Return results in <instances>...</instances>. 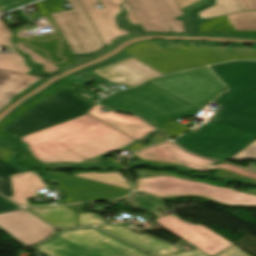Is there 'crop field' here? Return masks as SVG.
<instances>
[{
    "mask_svg": "<svg viewBox=\"0 0 256 256\" xmlns=\"http://www.w3.org/2000/svg\"><path fill=\"white\" fill-rule=\"evenodd\" d=\"M230 91L203 128L189 131L177 143L215 159L228 160L256 139V62L234 61L211 67Z\"/></svg>",
    "mask_w": 256,
    "mask_h": 256,
    "instance_id": "8a807250",
    "label": "crop field"
},
{
    "mask_svg": "<svg viewBox=\"0 0 256 256\" xmlns=\"http://www.w3.org/2000/svg\"><path fill=\"white\" fill-rule=\"evenodd\" d=\"M21 140L30 144L33 155L49 168L97 164L105 153L124 149L136 141L88 113Z\"/></svg>",
    "mask_w": 256,
    "mask_h": 256,
    "instance_id": "ac0d7876",
    "label": "crop field"
},
{
    "mask_svg": "<svg viewBox=\"0 0 256 256\" xmlns=\"http://www.w3.org/2000/svg\"><path fill=\"white\" fill-rule=\"evenodd\" d=\"M123 52L164 74L236 59L256 60V49L182 44L159 46L153 41L136 43Z\"/></svg>",
    "mask_w": 256,
    "mask_h": 256,
    "instance_id": "34b2d1b8",
    "label": "crop field"
},
{
    "mask_svg": "<svg viewBox=\"0 0 256 256\" xmlns=\"http://www.w3.org/2000/svg\"><path fill=\"white\" fill-rule=\"evenodd\" d=\"M136 173L140 176L136 179V190L161 199L196 196L228 207H256V191H236L163 172Z\"/></svg>",
    "mask_w": 256,
    "mask_h": 256,
    "instance_id": "412701ff",
    "label": "crop field"
},
{
    "mask_svg": "<svg viewBox=\"0 0 256 256\" xmlns=\"http://www.w3.org/2000/svg\"><path fill=\"white\" fill-rule=\"evenodd\" d=\"M99 103L111 109L140 115L159 128L164 121L178 116H195L199 111L148 82L132 90L120 91Z\"/></svg>",
    "mask_w": 256,
    "mask_h": 256,
    "instance_id": "f4fd0767",
    "label": "crop field"
},
{
    "mask_svg": "<svg viewBox=\"0 0 256 256\" xmlns=\"http://www.w3.org/2000/svg\"><path fill=\"white\" fill-rule=\"evenodd\" d=\"M33 249L45 256H151L95 228L56 232Z\"/></svg>",
    "mask_w": 256,
    "mask_h": 256,
    "instance_id": "dd49c442",
    "label": "crop field"
},
{
    "mask_svg": "<svg viewBox=\"0 0 256 256\" xmlns=\"http://www.w3.org/2000/svg\"><path fill=\"white\" fill-rule=\"evenodd\" d=\"M83 89L78 83L65 88L41 101L3 130L17 137L86 113L94 103L76 94Z\"/></svg>",
    "mask_w": 256,
    "mask_h": 256,
    "instance_id": "e52e79f7",
    "label": "crop field"
},
{
    "mask_svg": "<svg viewBox=\"0 0 256 256\" xmlns=\"http://www.w3.org/2000/svg\"><path fill=\"white\" fill-rule=\"evenodd\" d=\"M132 158L138 162L129 163V168L132 165H151L156 168L172 167L185 172L200 171L202 173L208 172L207 169H212L219 172L214 176L222 178L231 176L256 185V173L226 163L214 165L217 161L194 156L171 142L145 149L134 154Z\"/></svg>",
    "mask_w": 256,
    "mask_h": 256,
    "instance_id": "d8731c3e",
    "label": "crop field"
},
{
    "mask_svg": "<svg viewBox=\"0 0 256 256\" xmlns=\"http://www.w3.org/2000/svg\"><path fill=\"white\" fill-rule=\"evenodd\" d=\"M148 82L200 109L226 90L207 67L151 79Z\"/></svg>",
    "mask_w": 256,
    "mask_h": 256,
    "instance_id": "5a996713",
    "label": "crop field"
},
{
    "mask_svg": "<svg viewBox=\"0 0 256 256\" xmlns=\"http://www.w3.org/2000/svg\"><path fill=\"white\" fill-rule=\"evenodd\" d=\"M104 9H98L97 0H80L94 27L105 44L126 34L125 29L143 31L125 0H100Z\"/></svg>",
    "mask_w": 256,
    "mask_h": 256,
    "instance_id": "3316defc",
    "label": "crop field"
},
{
    "mask_svg": "<svg viewBox=\"0 0 256 256\" xmlns=\"http://www.w3.org/2000/svg\"><path fill=\"white\" fill-rule=\"evenodd\" d=\"M72 9L51 16L73 54H87L105 46L78 0H68Z\"/></svg>",
    "mask_w": 256,
    "mask_h": 256,
    "instance_id": "28ad6ade",
    "label": "crop field"
},
{
    "mask_svg": "<svg viewBox=\"0 0 256 256\" xmlns=\"http://www.w3.org/2000/svg\"><path fill=\"white\" fill-rule=\"evenodd\" d=\"M37 6L52 31L34 34L31 31L23 32L20 29L16 31L15 38L58 67H63L74 62L75 58L73 54L54 24L43 2L37 3Z\"/></svg>",
    "mask_w": 256,
    "mask_h": 256,
    "instance_id": "d1516ede",
    "label": "crop field"
},
{
    "mask_svg": "<svg viewBox=\"0 0 256 256\" xmlns=\"http://www.w3.org/2000/svg\"><path fill=\"white\" fill-rule=\"evenodd\" d=\"M144 31L184 32L181 21L175 17L183 12L175 0H127Z\"/></svg>",
    "mask_w": 256,
    "mask_h": 256,
    "instance_id": "22f410ed",
    "label": "crop field"
},
{
    "mask_svg": "<svg viewBox=\"0 0 256 256\" xmlns=\"http://www.w3.org/2000/svg\"><path fill=\"white\" fill-rule=\"evenodd\" d=\"M0 230L24 247L52 236L55 229L24 210L0 214Z\"/></svg>",
    "mask_w": 256,
    "mask_h": 256,
    "instance_id": "cbeb9de0",
    "label": "crop field"
},
{
    "mask_svg": "<svg viewBox=\"0 0 256 256\" xmlns=\"http://www.w3.org/2000/svg\"><path fill=\"white\" fill-rule=\"evenodd\" d=\"M155 221L211 256L233 245L205 226L187 223L174 214L155 219Z\"/></svg>",
    "mask_w": 256,
    "mask_h": 256,
    "instance_id": "5142ce71",
    "label": "crop field"
},
{
    "mask_svg": "<svg viewBox=\"0 0 256 256\" xmlns=\"http://www.w3.org/2000/svg\"><path fill=\"white\" fill-rule=\"evenodd\" d=\"M67 196L66 203L123 197L131 191L60 173H49ZM64 193V194H65Z\"/></svg>",
    "mask_w": 256,
    "mask_h": 256,
    "instance_id": "d9b57169",
    "label": "crop field"
},
{
    "mask_svg": "<svg viewBox=\"0 0 256 256\" xmlns=\"http://www.w3.org/2000/svg\"><path fill=\"white\" fill-rule=\"evenodd\" d=\"M91 71L117 85L121 84L128 87H133L150 77L163 75L132 57Z\"/></svg>",
    "mask_w": 256,
    "mask_h": 256,
    "instance_id": "733c2abd",
    "label": "crop field"
},
{
    "mask_svg": "<svg viewBox=\"0 0 256 256\" xmlns=\"http://www.w3.org/2000/svg\"><path fill=\"white\" fill-rule=\"evenodd\" d=\"M200 33L217 32L247 38H256V11H244L200 24Z\"/></svg>",
    "mask_w": 256,
    "mask_h": 256,
    "instance_id": "4a817a6b",
    "label": "crop field"
},
{
    "mask_svg": "<svg viewBox=\"0 0 256 256\" xmlns=\"http://www.w3.org/2000/svg\"><path fill=\"white\" fill-rule=\"evenodd\" d=\"M100 108L102 107L95 105L88 113L137 140L147 136L149 132L156 130L154 127L138 117L118 114L112 111L105 113L99 110Z\"/></svg>",
    "mask_w": 256,
    "mask_h": 256,
    "instance_id": "bc2a9ffb",
    "label": "crop field"
},
{
    "mask_svg": "<svg viewBox=\"0 0 256 256\" xmlns=\"http://www.w3.org/2000/svg\"><path fill=\"white\" fill-rule=\"evenodd\" d=\"M99 228L115 234L157 256H164L178 250L177 247L168 242L162 241L146 234L139 235L119 225H105L100 226Z\"/></svg>",
    "mask_w": 256,
    "mask_h": 256,
    "instance_id": "214f88e0",
    "label": "crop field"
},
{
    "mask_svg": "<svg viewBox=\"0 0 256 256\" xmlns=\"http://www.w3.org/2000/svg\"><path fill=\"white\" fill-rule=\"evenodd\" d=\"M73 83H76V81H74L72 79L64 80V81L60 82V85H61L60 88L50 87L49 89H47L45 92H43L40 96H38L33 101L15 109L6 119H4L0 123V139H11L13 142L17 143L16 141H14L16 139L15 137L5 133L2 129L4 127H6L7 125H9L11 122H13L15 119H17L19 116H21L23 113H25L27 110L32 108L34 105H36L41 100L51 96L52 94L64 89L65 87H67ZM24 155H25V151L21 147V155H20L19 163H21L22 165H24L26 167H31V168H47L37 158L30 159V160H24L23 159Z\"/></svg>",
    "mask_w": 256,
    "mask_h": 256,
    "instance_id": "92a150f3",
    "label": "crop field"
},
{
    "mask_svg": "<svg viewBox=\"0 0 256 256\" xmlns=\"http://www.w3.org/2000/svg\"><path fill=\"white\" fill-rule=\"evenodd\" d=\"M40 78L0 70V109L25 88Z\"/></svg>",
    "mask_w": 256,
    "mask_h": 256,
    "instance_id": "dafd665d",
    "label": "crop field"
},
{
    "mask_svg": "<svg viewBox=\"0 0 256 256\" xmlns=\"http://www.w3.org/2000/svg\"><path fill=\"white\" fill-rule=\"evenodd\" d=\"M10 178L14 193L10 198L23 206H29L25 199L37 196L35 191L46 188L39 176L33 172L11 175Z\"/></svg>",
    "mask_w": 256,
    "mask_h": 256,
    "instance_id": "00972430",
    "label": "crop field"
},
{
    "mask_svg": "<svg viewBox=\"0 0 256 256\" xmlns=\"http://www.w3.org/2000/svg\"><path fill=\"white\" fill-rule=\"evenodd\" d=\"M27 209L58 228H70L78 226L74 211L65 206Z\"/></svg>",
    "mask_w": 256,
    "mask_h": 256,
    "instance_id": "a9b5d70f",
    "label": "crop field"
},
{
    "mask_svg": "<svg viewBox=\"0 0 256 256\" xmlns=\"http://www.w3.org/2000/svg\"><path fill=\"white\" fill-rule=\"evenodd\" d=\"M11 155L10 149L0 147V192L8 197L13 195L9 175L22 172L9 163Z\"/></svg>",
    "mask_w": 256,
    "mask_h": 256,
    "instance_id": "4177f3b9",
    "label": "crop field"
},
{
    "mask_svg": "<svg viewBox=\"0 0 256 256\" xmlns=\"http://www.w3.org/2000/svg\"><path fill=\"white\" fill-rule=\"evenodd\" d=\"M74 176L130 189L129 183L126 181L122 174L119 172L99 173V172H88V173H76Z\"/></svg>",
    "mask_w": 256,
    "mask_h": 256,
    "instance_id": "730fd06b",
    "label": "crop field"
},
{
    "mask_svg": "<svg viewBox=\"0 0 256 256\" xmlns=\"http://www.w3.org/2000/svg\"><path fill=\"white\" fill-rule=\"evenodd\" d=\"M13 53L10 54H0V69L26 73L29 71V68L24 66V61L21 56L15 53L13 48H10Z\"/></svg>",
    "mask_w": 256,
    "mask_h": 256,
    "instance_id": "eef30255",
    "label": "crop field"
},
{
    "mask_svg": "<svg viewBox=\"0 0 256 256\" xmlns=\"http://www.w3.org/2000/svg\"><path fill=\"white\" fill-rule=\"evenodd\" d=\"M242 11L236 0H217V5L201 13V17H215Z\"/></svg>",
    "mask_w": 256,
    "mask_h": 256,
    "instance_id": "ae1a2a85",
    "label": "crop field"
},
{
    "mask_svg": "<svg viewBox=\"0 0 256 256\" xmlns=\"http://www.w3.org/2000/svg\"><path fill=\"white\" fill-rule=\"evenodd\" d=\"M123 200L130 204L133 208L144 209L156 217L164 216L156 207H154L150 202L136 192Z\"/></svg>",
    "mask_w": 256,
    "mask_h": 256,
    "instance_id": "d3111659",
    "label": "crop field"
},
{
    "mask_svg": "<svg viewBox=\"0 0 256 256\" xmlns=\"http://www.w3.org/2000/svg\"><path fill=\"white\" fill-rule=\"evenodd\" d=\"M247 254L233 245L216 256H249ZM169 256H209V255L196 249L193 251L176 253Z\"/></svg>",
    "mask_w": 256,
    "mask_h": 256,
    "instance_id": "750c4746",
    "label": "crop field"
},
{
    "mask_svg": "<svg viewBox=\"0 0 256 256\" xmlns=\"http://www.w3.org/2000/svg\"><path fill=\"white\" fill-rule=\"evenodd\" d=\"M17 47H18V49H20V50L28 53L29 55H31V57H32L34 62H39V63L43 64L45 66L44 71H46V72H54V71L58 70L57 67H55L54 65H52L51 63H49L48 61H46L45 59H43L42 57H40L36 53H34L33 51H31L25 45H23L21 43H18Z\"/></svg>",
    "mask_w": 256,
    "mask_h": 256,
    "instance_id": "bd1437ed",
    "label": "crop field"
},
{
    "mask_svg": "<svg viewBox=\"0 0 256 256\" xmlns=\"http://www.w3.org/2000/svg\"><path fill=\"white\" fill-rule=\"evenodd\" d=\"M78 222L81 224V226L108 223L107 221H105L103 218H101L100 216L96 215L95 213L79 214L78 215Z\"/></svg>",
    "mask_w": 256,
    "mask_h": 256,
    "instance_id": "1d83c4d3",
    "label": "crop field"
},
{
    "mask_svg": "<svg viewBox=\"0 0 256 256\" xmlns=\"http://www.w3.org/2000/svg\"><path fill=\"white\" fill-rule=\"evenodd\" d=\"M188 129V127L174 122L165 123L161 128V130H163L170 137V139L182 134Z\"/></svg>",
    "mask_w": 256,
    "mask_h": 256,
    "instance_id": "120bbe31",
    "label": "crop field"
},
{
    "mask_svg": "<svg viewBox=\"0 0 256 256\" xmlns=\"http://www.w3.org/2000/svg\"><path fill=\"white\" fill-rule=\"evenodd\" d=\"M245 158H256V141H254L253 143L248 145L246 148H244L242 151H240L238 154H236L230 160L245 159ZM249 169L256 171V166H252Z\"/></svg>",
    "mask_w": 256,
    "mask_h": 256,
    "instance_id": "d32e631a",
    "label": "crop field"
},
{
    "mask_svg": "<svg viewBox=\"0 0 256 256\" xmlns=\"http://www.w3.org/2000/svg\"><path fill=\"white\" fill-rule=\"evenodd\" d=\"M32 1L35 0H0V10L4 12Z\"/></svg>",
    "mask_w": 256,
    "mask_h": 256,
    "instance_id": "5866460e",
    "label": "crop field"
},
{
    "mask_svg": "<svg viewBox=\"0 0 256 256\" xmlns=\"http://www.w3.org/2000/svg\"><path fill=\"white\" fill-rule=\"evenodd\" d=\"M1 18L2 17H0V19ZM10 37V30L0 20V45L11 46L12 43L9 41Z\"/></svg>",
    "mask_w": 256,
    "mask_h": 256,
    "instance_id": "028f5c9d",
    "label": "crop field"
},
{
    "mask_svg": "<svg viewBox=\"0 0 256 256\" xmlns=\"http://www.w3.org/2000/svg\"><path fill=\"white\" fill-rule=\"evenodd\" d=\"M165 140H166V137L162 133L158 132L156 134V136L150 141V143L147 146L161 142V141H165ZM143 147H146V146L140 142H137V143L133 144L131 147H129L128 150H131L134 152Z\"/></svg>",
    "mask_w": 256,
    "mask_h": 256,
    "instance_id": "e1f06a70",
    "label": "crop field"
},
{
    "mask_svg": "<svg viewBox=\"0 0 256 256\" xmlns=\"http://www.w3.org/2000/svg\"><path fill=\"white\" fill-rule=\"evenodd\" d=\"M242 10H256V0H237Z\"/></svg>",
    "mask_w": 256,
    "mask_h": 256,
    "instance_id": "0bd39190",
    "label": "crop field"
},
{
    "mask_svg": "<svg viewBox=\"0 0 256 256\" xmlns=\"http://www.w3.org/2000/svg\"><path fill=\"white\" fill-rule=\"evenodd\" d=\"M18 208L19 207L15 206L11 202L7 201L6 199H4L0 196V212L15 210V209H18Z\"/></svg>",
    "mask_w": 256,
    "mask_h": 256,
    "instance_id": "b80d0937",
    "label": "crop field"
},
{
    "mask_svg": "<svg viewBox=\"0 0 256 256\" xmlns=\"http://www.w3.org/2000/svg\"><path fill=\"white\" fill-rule=\"evenodd\" d=\"M176 1L182 9V8L186 7L187 5L193 4V3H195L196 1H199V0H176Z\"/></svg>",
    "mask_w": 256,
    "mask_h": 256,
    "instance_id": "c035e120",
    "label": "crop field"
},
{
    "mask_svg": "<svg viewBox=\"0 0 256 256\" xmlns=\"http://www.w3.org/2000/svg\"><path fill=\"white\" fill-rule=\"evenodd\" d=\"M18 12H19L23 17H25L29 22L32 21V20H30V19L28 18V16L25 14V12H24L22 9H19Z\"/></svg>",
    "mask_w": 256,
    "mask_h": 256,
    "instance_id": "c21b1889",
    "label": "crop field"
},
{
    "mask_svg": "<svg viewBox=\"0 0 256 256\" xmlns=\"http://www.w3.org/2000/svg\"><path fill=\"white\" fill-rule=\"evenodd\" d=\"M30 15L32 16V18H33L34 20H36L40 14H38V13H32V14H30Z\"/></svg>",
    "mask_w": 256,
    "mask_h": 256,
    "instance_id": "03da06ac",
    "label": "crop field"
},
{
    "mask_svg": "<svg viewBox=\"0 0 256 256\" xmlns=\"http://www.w3.org/2000/svg\"><path fill=\"white\" fill-rule=\"evenodd\" d=\"M9 144V143H8Z\"/></svg>",
    "mask_w": 256,
    "mask_h": 256,
    "instance_id": "b54c1fbb",
    "label": "crop field"
}]
</instances>
